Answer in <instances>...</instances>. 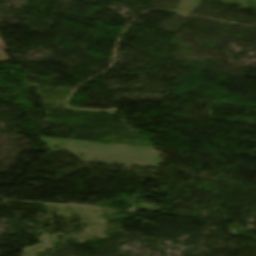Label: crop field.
Returning a JSON list of instances; mask_svg holds the SVG:
<instances>
[{
	"label": "crop field",
	"mask_w": 256,
	"mask_h": 256,
	"mask_svg": "<svg viewBox=\"0 0 256 256\" xmlns=\"http://www.w3.org/2000/svg\"><path fill=\"white\" fill-rule=\"evenodd\" d=\"M1 43V42H0Z\"/></svg>",
	"instance_id": "obj_1"
}]
</instances>
